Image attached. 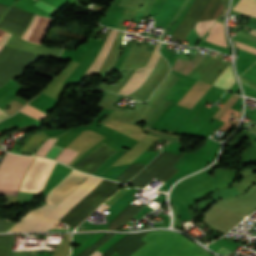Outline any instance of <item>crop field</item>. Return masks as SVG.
<instances>
[{
	"mask_svg": "<svg viewBox=\"0 0 256 256\" xmlns=\"http://www.w3.org/2000/svg\"><path fill=\"white\" fill-rule=\"evenodd\" d=\"M101 180L89 176L55 208L45 204L29 211L9 232L47 231Z\"/></svg>",
	"mask_w": 256,
	"mask_h": 256,
	"instance_id": "1",
	"label": "crop field"
},
{
	"mask_svg": "<svg viewBox=\"0 0 256 256\" xmlns=\"http://www.w3.org/2000/svg\"><path fill=\"white\" fill-rule=\"evenodd\" d=\"M182 236V235H181ZM179 234L169 231H154L147 234L142 240L148 244L133 256H209Z\"/></svg>",
	"mask_w": 256,
	"mask_h": 256,
	"instance_id": "2",
	"label": "crop field"
},
{
	"mask_svg": "<svg viewBox=\"0 0 256 256\" xmlns=\"http://www.w3.org/2000/svg\"><path fill=\"white\" fill-rule=\"evenodd\" d=\"M122 184L103 179L80 200L60 221L76 228L77 225L104 201L110 198ZM121 188V187H120ZM85 220V219H84ZM64 223V224H65Z\"/></svg>",
	"mask_w": 256,
	"mask_h": 256,
	"instance_id": "3",
	"label": "crop field"
},
{
	"mask_svg": "<svg viewBox=\"0 0 256 256\" xmlns=\"http://www.w3.org/2000/svg\"><path fill=\"white\" fill-rule=\"evenodd\" d=\"M33 160L32 157L6 153L0 164V194H17L22 178Z\"/></svg>",
	"mask_w": 256,
	"mask_h": 256,
	"instance_id": "4",
	"label": "crop field"
},
{
	"mask_svg": "<svg viewBox=\"0 0 256 256\" xmlns=\"http://www.w3.org/2000/svg\"><path fill=\"white\" fill-rule=\"evenodd\" d=\"M37 56L35 53L4 46L0 51V87L9 79L17 78Z\"/></svg>",
	"mask_w": 256,
	"mask_h": 256,
	"instance_id": "5",
	"label": "crop field"
},
{
	"mask_svg": "<svg viewBox=\"0 0 256 256\" xmlns=\"http://www.w3.org/2000/svg\"><path fill=\"white\" fill-rule=\"evenodd\" d=\"M223 5L221 0H195L172 36L185 39L196 21L217 18Z\"/></svg>",
	"mask_w": 256,
	"mask_h": 256,
	"instance_id": "6",
	"label": "crop field"
},
{
	"mask_svg": "<svg viewBox=\"0 0 256 256\" xmlns=\"http://www.w3.org/2000/svg\"><path fill=\"white\" fill-rule=\"evenodd\" d=\"M183 154L184 153L179 155L169 152L162 153L141 174L131 180L130 183L137 187L143 188L154 177L166 182L178 171L173 165L181 158Z\"/></svg>",
	"mask_w": 256,
	"mask_h": 256,
	"instance_id": "7",
	"label": "crop field"
},
{
	"mask_svg": "<svg viewBox=\"0 0 256 256\" xmlns=\"http://www.w3.org/2000/svg\"><path fill=\"white\" fill-rule=\"evenodd\" d=\"M149 233V232H147ZM147 233L141 234H127L119 241H117L114 245H112L104 254L98 251L97 249L102 246L106 241H108L115 234H105L101 237L93 246H89L83 253L79 256H113L116 252L119 256H131L134 252H136L140 247L144 244L140 239L144 237Z\"/></svg>",
	"mask_w": 256,
	"mask_h": 256,
	"instance_id": "8",
	"label": "crop field"
},
{
	"mask_svg": "<svg viewBox=\"0 0 256 256\" xmlns=\"http://www.w3.org/2000/svg\"><path fill=\"white\" fill-rule=\"evenodd\" d=\"M160 43L158 42L155 46L151 58L146 66L136 69L133 76L129 79V81L124 85V87L118 92L119 94L128 95L134 92L137 88H139L146 77L149 75L153 67L155 66L157 60L161 56L159 54L158 48Z\"/></svg>",
	"mask_w": 256,
	"mask_h": 256,
	"instance_id": "9",
	"label": "crop field"
},
{
	"mask_svg": "<svg viewBox=\"0 0 256 256\" xmlns=\"http://www.w3.org/2000/svg\"><path fill=\"white\" fill-rule=\"evenodd\" d=\"M52 19L41 17V16H35L32 24L27 29L25 34L22 36V39L40 44Z\"/></svg>",
	"mask_w": 256,
	"mask_h": 256,
	"instance_id": "10",
	"label": "crop field"
},
{
	"mask_svg": "<svg viewBox=\"0 0 256 256\" xmlns=\"http://www.w3.org/2000/svg\"><path fill=\"white\" fill-rule=\"evenodd\" d=\"M7 46H12L28 51H32L35 53H39L45 56H53L58 58L59 54L61 53L62 49L58 48H48V47H41L33 44H29L21 39L16 38L15 36L11 35L8 42L6 43Z\"/></svg>",
	"mask_w": 256,
	"mask_h": 256,
	"instance_id": "11",
	"label": "crop field"
},
{
	"mask_svg": "<svg viewBox=\"0 0 256 256\" xmlns=\"http://www.w3.org/2000/svg\"><path fill=\"white\" fill-rule=\"evenodd\" d=\"M119 31L117 30H113L111 29L104 45L102 46L99 54L97 55L96 59L94 60V62L92 63V65L90 66V68L88 69V71L86 72V74L84 76L87 75H91V74H96L99 72L117 34Z\"/></svg>",
	"mask_w": 256,
	"mask_h": 256,
	"instance_id": "12",
	"label": "crop field"
},
{
	"mask_svg": "<svg viewBox=\"0 0 256 256\" xmlns=\"http://www.w3.org/2000/svg\"><path fill=\"white\" fill-rule=\"evenodd\" d=\"M139 210L141 209L130 204L121 213H119L116 218L113 219L109 229L117 230L127 221H129Z\"/></svg>",
	"mask_w": 256,
	"mask_h": 256,
	"instance_id": "13",
	"label": "crop field"
},
{
	"mask_svg": "<svg viewBox=\"0 0 256 256\" xmlns=\"http://www.w3.org/2000/svg\"><path fill=\"white\" fill-rule=\"evenodd\" d=\"M209 32L210 33L207 35L205 40L211 41L220 46L227 47L222 23L216 22Z\"/></svg>",
	"mask_w": 256,
	"mask_h": 256,
	"instance_id": "14",
	"label": "crop field"
},
{
	"mask_svg": "<svg viewBox=\"0 0 256 256\" xmlns=\"http://www.w3.org/2000/svg\"><path fill=\"white\" fill-rule=\"evenodd\" d=\"M233 10L254 17L256 16V0H239Z\"/></svg>",
	"mask_w": 256,
	"mask_h": 256,
	"instance_id": "15",
	"label": "crop field"
},
{
	"mask_svg": "<svg viewBox=\"0 0 256 256\" xmlns=\"http://www.w3.org/2000/svg\"><path fill=\"white\" fill-rule=\"evenodd\" d=\"M235 82L233 75L231 73L230 65L222 73V75L214 82V86L220 87L222 89L228 90L231 85Z\"/></svg>",
	"mask_w": 256,
	"mask_h": 256,
	"instance_id": "16",
	"label": "crop field"
},
{
	"mask_svg": "<svg viewBox=\"0 0 256 256\" xmlns=\"http://www.w3.org/2000/svg\"><path fill=\"white\" fill-rule=\"evenodd\" d=\"M146 164H132L129 168H127L119 177L115 179V181L119 182H127L133 176H135Z\"/></svg>",
	"mask_w": 256,
	"mask_h": 256,
	"instance_id": "17",
	"label": "crop field"
},
{
	"mask_svg": "<svg viewBox=\"0 0 256 256\" xmlns=\"http://www.w3.org/2000/svg\"><path fill=\"white\" fill-rule=\"evenodd\" d=\"M47 136L41 131L33 136H31L28 141L25 143L22 150L33 152L34 149L41 143L43 139Z\"/></svg>",
	"mask_w": 256,
	"mask_h": 256,
	"instance_id": "18",
	"label": "crop field"
},
{
	"mask_svg": "<svg viewBox=\"0 0 256 256\" xmlns=\"http://www.w3.org/2000/svg\"><path fill=\"white\" fill-rule=\"evenodd\" d=\"M14 235H0V256H7Z\"/></svg>",
	"mask_w": 256,
	"mask_h": 256,
	"instance_id": "19",
	"label": "crop field"
},
{
	"mask_svg": "<svg viewBox=\"0 0 256 256\" xmlns=\"http://www.w3.org/2000/svg\"><path fill=\"white\" fill-rule=\"evenodd\" d=\"M78 153L65 148L56 160L68 165Z\"/></svg>",
	"mask_w": 256,
	"mask_h": 256,
	"instance_id": "20",
	"label": "crop field"
},
{
	"mask_svg": "<svg viewBox=\"0 0 256 256\" xmlns=\"http://www.w3.org/2000/svg\"><path fill=\"white\" fill-rule=\"evenodd\" d=\"M21 112L39 120L41 119L42 117H44L46 114L36 110L35 108L27 105L26 107H24L22 110H20Z\"/></svg>",
	"mask_w": 256,
	"mask_h": 256,
	"instance_id": "21",
	"label": "crop field"
},
{
	"mask_svg": "<svg viewBox=\"0 0 256 256\" xmlns=\"http://www.w3.org/2000/svg\"><path fill=\"white\" fill-rule=\"evenodd\" d=\"M56 140L57 138H51L48 141H46L37 154L45 156V154L48 152V150L51 148V146L54 144Z\"/></svg>",
	"mask_w": 256,
	"mask_h": 256,
	"instance_id": "22",
	"label": "crop field"
},
{
	"mask_svg": "<svg viewBox=\"0 0 256 256\" xmlns=\"http://www.w3.org/2000/svg\"><path fill=\"white\" fill-rule=\"evenodd\" d=\"M34 5L42 8V9H44V10L50 12V13H52V14L58 10V9H56V8H54V7H52V6L48 5V4L40 1V0L37 3H35Z\"/></svg>",
	"mask_w": 256,
	"mask_h": 256,
	"instance_id": "23",
	"label": "crop field"
},
{
	"mask_svg": "<svg viewBox=\"0 0 256 256\" xmlns=\"http://www.w3.org/2000/svg\"><path fill=\"white\" fill-rule=\"evenodd\" d=\"M62 151V148L58 147V146H53L50 151L48 152V154L46 155L47 158H51L54 159L57 157V155Z\"/></svg>",
	"mask_w": 256,
	"mask_h": 256,
	"instance_id": "24",
	"label": "crop field"
},
{
	"mask_svg": "<svg viewBox=\"0 0 256 256\" xmlns=\"http://www.w3.org/2000/svg\"><path fill=\"white\" fill-rule=\"evenodd\" d=\"M233 42H234V44H235V46H236L237 48L246 50V51L251 52V53H253V54L256 55V49H255V48H252V47H250V46H247V45H245V44H242V43L237 42V41H234V40H233Z\"/></svg>",
	"mask_w": 256,
	"mask_h": 256,
	"instance_id": "25",
	"label": "crop field"
},
{
	"mask_svg": "<svg viewBox=\"0 0 256 256\" xmlns=\"http://www.w3.org/2000/svg\"><path fill=\"white\" fill-rule=\"evenodd\" d=\"M9 226H10L9 222L4 221V220H0V232H3L4 230H6Z\"/></svg>",
	"mask_w": 256,
	"mask_h": 256,
	"instance_id": "26",
	"label": "crop field"
},
{
	"mask_svg": "<svg viewBox=\"0 0 256 256\" xmlns=\"http://www.w3.org/2000/svg\"><path fill=\"white\" fill-rule=\"evenodd\" d=\"M8 256H34L28 253H20V252H9Z\"/></svg>",
	"mask_w": 256,
	"mask_h": 256,
	"instance_id": "27",
	"label": "crop field"
},
{
	"mask_svg": "<svg viewBox=\"0 0 256 256\" xmlns=\"http://www.w3.org/2000/svg\"><path fill=\"white\" fill-rule=\"evenodd\" d=\"M8 9V6L0 5V19L4 16Z\"/></svg>",
	"mask_w": 256,
	"mask_h": 256,
	"instance_id": "28",
	"label": "crop field"
},
{
	"mask_svg": "<svg viewBox=\"0 0 256 256\" xmlns=\"http://www.w3.org/2000/svg\"><path fill=\"white\" fill-rule=\"evenodd\" d=\"M9 37L10 34L6 33L5 36L0 40V49L4 46Z\"/></svg>",
	"mask_w": 256,
	"mask_h": 256,
	"instance_id": "29",
	"label": "crop field"
},
{
	"mask_svg": "<svg viewBox=\"0 0 256 256\" xmlns=\"http://www.w3.org/2000/svg\"><path fill=\"white\" fill-rule=\"evenodd\" d=\"M6 116L8 115L3 110L0 109V120Z\"/></svg>",
	"mask_w": 256,
	"mask_h": 256,
	"instance_id": "30",
	"label": "crop field"
},
{
	"mask_svg": "<svg viewBox=\"0 0 256 256\" xmlns=\"http://www.w3.org/2000/svg\"><path fill=\"white\" fill-rule=\"evenodd\" d=\"M5 33H6V32L0 30V39L4 36Z\"/></svg>",
	"mask_w": 256,
	"mask_h": 256,
	"instance_id": "31",
	"label": "crop field"
},
{
	"mask_svg": "<svg viewBox=\"0 0 256 256\" xmlns=\"http://www.w3.org/2000/svg\"><path fill=\"white\" fill-rule=\"evenodd\" d=\"M224 2L226 3V0H224Z\"/></svg>",
	"mask_w": 256,
	"mask_h": 256,
	"instance_id": "32",
	"label": "crop field"
}]
</instances>
